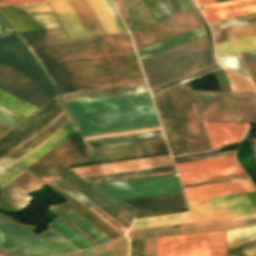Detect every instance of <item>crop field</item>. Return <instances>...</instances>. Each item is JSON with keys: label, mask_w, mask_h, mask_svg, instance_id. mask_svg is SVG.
Returning <instances> with one entry per match:
<instances>
[{"label": "crop field", "mask_w": 256, "mask_h": 256, "mask_svg": "<svg viewBox=\"0 0 256 256\" xmlns=\"http://www.w3.org/2000/svg\"><path fill=\"white\" fill-rule=\"evenodd\" d=\"M29 48L59 93L145 81L128 33Z\"/></svg>", "instance_id": "crop-field-1"}, {"label": "crop field", "mask_w": 256, "mask_h": 256, "mask_svg": "<svg viewBox=\"0 0 256 256\" xmlns=\"http://www.w3.org/2000/svg\"><path fill=\"white\" fill-rule=\"evenodd\" d=\"M66 106L83 137L160 126L148 92Z\"/></svg>", "instance_id": "crop-field-2"}, {"label": "crop field", "mask_w": 256, "mask_h": 256, "mask_svg": "<svg viewBox=\"0 0 256 256\" xmlns=\"http://www.w3.org/2000/svg\"><path fill=\"white\" fill-rule=\"evenodd\" d=\"M0 88L37 107L56 95L12 32L0 37Z\"/></svg>", "instance_id": "crop-field-3"}, {"label": "crop field", "mask_w": 256, "mask_h": 256, "mask_svg": "<svg viewBox=\"0 0 256 256\" xmlns=\"http://www.w3.org/2000/svg\"><path fill=\"white\" fill-rule=\"evenodd\" d=\"M140 62L150 89L216 64L206 36Z\"/></svg>", "instance_id": "crop-field-4"}, {"label": "crop field", "mask_w": 256, "mask_h": 256, "mask_svg": "<svg viewBox=\"0 0 256 256\" xmlns=\"http://www.w3.org/2000/svg\"><path fill=\"white\" fill-rule=\"evenodd\" d=\"M191 212L138 218L130 230L256 212V191L187 201Z\"/></svg>", "instance_id": "crop-field-5"}, {"label": "crop field", "mask_w": 256, "mask_h": 256, "mask_svg": "<svg viewBox=\"0 0 256 256\" xmlns=\"http://www.w3.org/2000/svg\"><path fill=\"white\" fill-rule=\"evenodd\" d=\"M203 122L250 123L256 118V95L192 91Z\"/></svg>", "instance_id": "crop-field-6"}, {"label": "crop field", "mask_w": 256, "mask_h": 256, "mask_svg": "<svg viewBox=\"0 0 256 256\" xmlns=\"http://www.w3.org/2000/svg\"><path fill=\"white\" fill-rule=\"evenodd\" d=\"M31 230L0 219V246L29 256H57L78 250L50 228L38 235Z\"/></svg>", "instance_id": "crop-field-7"}, {"label": "crop field", "mask_w": 256, "mask_h": 256, "mask_svg": "<svg viewBox=\"0 0 256 256\" xmlns=\"http://www.w3.org/2000/svg\"><path fill=\"white\" fill-rule=\"evenodd\" d=\"M87 153L76 131L26 170L47 184Z\"/></svg>", "instance_id": "crop-field-8"}, {"label": "crop field", "mask_w": 256, "mask_h": 256, "mask_svg": "<svg viewBox=\"0 0 256 256\" xmlns=\"http://www.w3.org/2000/svg\"><path fill=\"white\" fill-rule=\"evenodd\" d=\"M93 186L112 201L182 191L176 174Z\"/></svg>", "instance_id": "crop-field-9"}, {"label": "crop field", "mask_w": 256, "mask_h": 256, "mask_svg": "<svg viewBox=\"0 0 256 256\" xmlns=\"http://www.w3.org/2000/svg\"><path fill=\"white\" fill-rule=\"evenodd\" d=\"M199 17L192 9L169 19L131 33L136 49L146 47L169 37L201 26Z\"/></svg>", "instance_id": "crop-field-10"}, {"label": "crop field", "mask_w": 256, "mask_h": 256, "mask_svg": "<svg viewBox=\"0 0 256 256\" xmlns=\"http://www.w3.org/2000/svg\"><path fill=\"white\" fill-rule=\"evenodd\" d=\"M170 91L191 152L210 151L187 83Z\"/></svg>", "instance_id": "crop-field-11"}, {"label": "crop field", "mask_w": 256, "mask_h": 256, "mask_svg": "<svg viewBox=\"0 0 256 256\" xmlns=\"http://www.w3.org/2000/svg\"><path fill=\"white\" fill-rule=\"evenodd\" d=\"M0 10L17 32L59 27L46 1L0 7Z\"/></svg>", "instance_id": "crop-field-12"}, {"label": "crop field", "mask_w": 256, "mask_h": 256, "mask_svg": "<svg viewBox=\"0 0 256 256\" xmlns=\"http://www.w3.org/2000/svg\"><path fill=\"white\" fill-rule=\"evenodd\" d=\"M63 109L55 97L2 136L0 138V157Z\"/></svg>", "instance_id": "crop-field-13"}, {"label": "crop field", "mask_w": 256, "mask_h": 256, "mask_svg": "<svg viewBox=\"0 0 256 256\" xmlns=\"http://www.w3.org/2000/svg\"><path fill=\"white\" fill-rule=\"evenodd\" d=\"M75 131L76 130L70 120L5 170H3L0 173V187L5 185Z\"/></svg>", "instance_id": "crop-field-14"}, {"label": "crop field", "mask_w": 256, "mask_h": 256, "mask_svg": "<svg viewBox=\"0 0 256 256\" xmlns=\"http://www.w3.org/2000/svg\"><path fill=\"white\" fill-rule=\"evenodd\" d=\"M157 256H209V232L157 238Z\"/></svg>", "instance_id": "crop-field-15"}, {"label": "crop field", "mask_w": 256, "mask_h": 256, "mask_svg": "<svg viewBox=\"0 0 256 256\" xmlns=\"http://www.w3.org/2000/svg\"><path fill=\"white\" fill-rule=\"evenodd\" d=\"M115 203L133 216L188 209L182 192Z\"/></svg>", "instance_id": "crop-field-16"}, {"label": "crop field", "mask_w": 256, "mask_h": 256, "mask_svg": "<svg viewBox=\"0 0 256 256\" xmlns=\"http://www.w3.org/2000/svg\"><path fill=\"white\" fill-rule=\"evenodd\" d=\"M175 165L181 180L242 172L234 156Z\"/></svg>", "instance_id": "crop-field-17"}, {"label": "crop field", "mask_w": 256, "mask_h": 256, "mask_svg": "<svg viewBox=\"0 0 256 256\" xmlns=\"http://www.w3.org/2000/svg\"><path fill=\"white\" fill-rule=\"evenodd\" d=\"M69 119L65 110L61 111L39 129H37L34 133L12 148L9 152L3 155L0 158V171L66 123Z\"/></svg>", "instance_id": "crop-field-18"}, {"label": "crop field", "mask_w": 256, "mask_h": 256, "mask_svg": "<svg viewBox=\"0 0 256 256\" xmlns=\"http://www.w3.org/2000/svg\"><path fill=\"white\" fill-rule=\"evenodd\" d=\"M173 164L169 155L71 169L81 177Z\"/></svg>", "instance_id": "crop-field-19"}, {"label": "crop field", "mask_w": 256, "mask_h": 256, "mask_svg": "<svg viewBox=\"0 0 256 256\" xmlns=\"http://www.w3.org/2000/svg\"><path fill=\"white\" fill-rule=\"evenodd\" d=\"M91 154L76 165L131 158L153 154L145 142L91 150ZM75 165V166H76Z\"/></svg>", "instance_id": "crop-field-20"}, {"label": "crop field", "mask_w": 256, "mask_h": 256, "mask_svg": "<svg viewBox=\"0 0 256 256\" xmlns=\"http://www.w3.org/2000/svg\"><path fill=\"white\" fill-rule=\"evenodd\" d=\"M145 82L60 94L64 103L145 92Z\"/></svg>", "instance_id": "crop-field-21"}, {"label": "crop field", "mask_w": 256, "mask_h": 256, "mask_svg": "<svg viewBox=\"0 0 256 256\" xmlns=\"http://www.w3.org/2000/svg\"><path fill=\"white\" fill-rule=\"evenodd\" d=\"M201 12L207 22L256 13V0H235L204 6Z\"/></svg>", "instance_id": "crop-field-22"}, {"label": "crop field", "mask_w": 256, "mask_h": 256, "mask_svg": "<svg viewBox=\"0 0 256 256\" xmlns=\"http://www.w3.org/2000/svg\"><path fill=\"white\" fill-rule=\"evenodd\" d=\"M183 190H184L186 199L190 200V199H197V198H204V197H211V196H218V195L254 191L256 190V188L254 187V185L250 180H246V181L223 183V184H216V185H209V186L186 188Z\"/></svg>", "instance_id": "crop-field-23"}, {"label": "crop field", "mask_w": 256, "mask_h": 256, "mask_svg": "<svg viewBox=\"0 0 256 256\" xmlns=\"http://www.w3.org/2000/svg\"><path fill=\"white\" fill-rule=\"evenodd\" d=\"M69 39L88 37L68 0H48Z\"/></svg>", "instance_id": "crop-field-24"}, {"label": "crop field", "mask_w": 256, "mask_h": 256, "mask_svg": "<svg viewBox=\"0 0 256 256\" xmlns=\"http://www.w3.org/2000/svg\"><path fill=\"white\" fill-rule=\"evenodd\" d=\"M211 148L240 140L248 124L203 123Z\"/></svg>", "instance_id": "crop-field-25"}, {"label": "crop field", "mask_w": 256, "mask_h": 256, "mask_svg": "<svg viewBox=\"0 0 256 256\" xmlns=\"http://www.w3.org/2000/svg\"><path fill=\"white\" fill-rule=\"evenodd\" d=\"M161 138H164L162 131L158 130V131L123 135V136L88 140V141H86V143H87L89 149H93V148L107 147V146H113V145L161 139Z\"/></svg>", "instance_id": "crop-field-26"}, {"label": "crop field", "mask_w": 256, "mask_h": 256, "mask_svg": "<svg viewBox=\"0 0 256 256\" xmlns=\"http://www.w3.org/2000/svg\"><path fill=\"white\" fill-rule=\"evenodd\" d=\"M205 35L203 26L193 29L191 31L185 32L183 34L177 35L170 39L164 40L162 42L156 43L154 45L148 46L146 48L138 50L139 59H143L159 53L161 51L167 50L179 44L185 43L197 37Z\"/></svg>", "instance_id": "crop-field-27"}, {"label": "crop field", "mask_w": 256, "mask_h": 256, "mask_svg": "<svg viewBox=\"0 0 256 256\" xmlns=\"http://www.w3.org/2000/svg\"><path fill=\"white\" fill-rule=\"evenodd\" d=\"M254 223H256V218L224 222V223L209 224V225H202V226H195V227H188V228L166 230V231H159V232H152V233L130 235V236H128V238L141 237V236L151 237V236L192 233V232L216 230V229H223V228H231V227L249 225V224H254Z\"/></svg>", "instance_id": "crop-field-28"}, {"label": "crop field", "mask_w": 256, "mask_h": 256, "mask_svg": "<svg viewBox=\"0 0 256 256\" xmlns=\"http://www.w3.org/2000/svg\"><path fill=\"white\" fill-rule=\"evenodd\" d=\"M62 175H64L66 178H68L70 181H72L74 184H76L78 187H80L82 190H84L86 193H88L90 196H92L94 199H96L98 202H100L102 205H104L126 223H128L129 225L131 224L133 220L131 216H129L127 213H125L123 210L113 204L110 200H108L106 197H104L102 194L92 188L89 184H87L73 172L67 170Z\"/></svg>", "instance_id": "crop-field-29"}, {"label": "crop field", "mask_w": 256, "mask_h": 256, "mask_svg": "<svg viewBox=\"0 0 256 256\" xmlns=\"http://www.w3.org/2000/svg\"><path fill=\"white\" fill-rule=\"evenodd\" d=\"M128 30L146 25L144 18L133 0H113Z\"/></svg>", "instance_id": "crop-field-30"}, {"label": "crop field", "mask_w": 256, "mask_h": 256, "mask_svg": "<svg viewBox=\"0 0 256 256\" xmlns=\"http://www.w3.org/2000/svg\"><path fill=\"white\" fill-rule=\"evenodd\" d=\"M153 22L181 12L176 0H141Z\"/></svg>", "instance_id": "crop-field-31"}, {"label": "crop field", "mask_w": 256, "mask_h": 256, "mask_svg": "<svg viewBox=\"0 0 256 256\" xmlns=\"http://www.w3.org/2000/svg\"><path fill=\"white\" fill-rule=\"evenodd\" d=\"M217 57L256 50V36L214 44Z\"/></svg>", "instance_id": "crop-field-32"}, {"label": "crop field", "mask_w": 256, "mask_h": 256, "mask_svg": "<svg viewBox=\"0 0 256 256\" xmlns=\"http://www.w3.org/2000/svg\"><path fill=\"white\" fill-rule=\"evenodd\" d=\"M26 45L67 40L61 28L19 33Z\"/></svg>", "instance_id": "crop-field-33"}, {"label": "crop field", "mask_w": 256, "mask_h": 256, "mask_svg": "<svg viewBox=\"0 0 256 256\" xmlns=\"http://www.w3.org/2000/svg\"><path fill=\"white\" fill-rule=\"evenodd\" d=\"M214 43L256 35V23L214 30Z\"/></svg>", "instance_id": "crop-field-34"}, {"label": "crop field", "mask_w": 256, "mask_h": 256, "mask_svg": "<svg viewBox=\"0 0 256 256\" xmlns=\"http://www.w3.org/2000/svg\"><path fill=\"white\" fill-rule=\"evenodd\" d=\"M92 256H128V239L123 236L92 249Z\"/></svg>", "instance_id": "crop-field-35"}, {"label": "crop field", "mask_w": 256, "mask_h": 256, "mask_svg": "<svg viewBox=\"0 0 256 256\" xmlns=\"http://www.w3.org/2000/svg\"><path fill=\"white\" fill-rule=\"evenodd\" d=\"M0 105L27 117L37 108L0 90Z\"/></svg>", "instance_id": "crop-field-36"}, {"label": "crop field", "mask_w": 256, "mask_h": 256, "mask_svg": "<svg viewBox=\"0 0 256 256\" xmlns=\"http://www.w3.org/2000/svg\"><path fill=\"white\" fill-rule=\"evenodd\" d=\"M252 217H256V213L255 214H248V215H241V216H234V217H226V218L205 220V221H197V222L176 224V225H168V226L147 228V229L132 230V231H129L127 235L137 234V233H144V232L159 231V230H166V229H173V228H180V227L202 225V224H209V223H216V222L238 220V219H245V218H252Z\"/></svg>", "instance_id": "crop-field-37"}, {"label": "crop field", "mask_w": 256, "mask_h": 256, "mask_svg": "<svg viewBox=\"0 0 256 256\" xmlns=\"http://www.w3.org/2000/svg\"><path fill=\"white\" fill-rule=\"evenodd\" d=\"M171 170H175L173 165L149 168V169H142V170H135V171H128V172L106 174V175H99V176H92V177H85L83 179H85L87 182H91V181H98V180H105V179H112V178H119V177H127V176H134V175H141V174H148V173H155V172L171 171Z\"/></svg>", "instance_id": "crop-field-38"}, {"label": "crop field", "mask_w": 256, "mask_h": 256, "mask_svg": "<svg viewBox=\"0 0 256 256\" xmlns=\"http://www.w3.org/2000/svg\"><path fill=\"white\" fill-rule=\"evenodd\" d=\"M0 193L21 210L28 204L30 200L33 199L11 182L2 188Z\"/></svg>", "instance_id": "crop-field-39"}, {"label": "crop field", "mask_w": 256, "mask_h": 256, "mask_svg": "<svg viewBox=\"0 0 256 256\" xmlns=\"http://www.w3.org/2000/svg\"><path fill=\"white\" fill-rule=\"evenodd\" d=\"M91 4L93 10L98 16L100 22L105 28L107 34L118 33L116 27L114 26L112 20L110 19L108 13L106 12L104 6L102 5L100 0H88Z\"/></svg>", "instance_id": "crop-field-40"}, {"label": "crop field", "mask_w": 256, "mask_h": 256, "mask_svg": "<svg viewBox=\"0 0 256 256\" xmlns=\"http://www.w3.org/2000/svg\"><path fill=\"white\" fill-rule=\"evenodd\" d=\"M11 182H13L15 185H17L26 193L44 186L43 183H41L39 180H37L34 176H32L27 171H24L23 173H21Z\"/></svg>", "instance_id": "crop-field-41"}, {"label": "crop field", "mask_w": 256, "mask_h": 256, "mask_svg": "<svg viewBox=\"0 0 256 256\" xmlns=\"http://www.w3.org/2000/svg\"><path fill=\"white\" fill-rule=\"evenodd\" d=\"M256 239V225L227 230V242Z\"/></svg>", "instance_id": "crop-field-42"}, {"label": "crop field", "mask_w": 256, "mask_h": 256, "mask_svg": "<svg viewBox=\"0 0 256 256\" xmlns=\"http://www.w3.org/2000/svg\"><path fill=\"white\" fill-rule=\"evenodd\" d=\"M210 256H225V230L210 232Z\"/></svg>", "instance_id": "crop-field-43"}, {"label": "crop field", "mask_w": 256, "mask_h": 256, "mask_svg": "<svg viewBox=\"0 0 256 256\" xmlns=\"http://www.w3.org/2000/svg\"><path fill=\"white\" fill-rule=\"evenodd\" d=\"M232 91H254L249 80L222 69Z\"/></svg>", "instance_id": "crop-field-44"}, {"label": "crop field", "mask_w": 256, "mask_h": 256, "mask_svg": "<svg viewBox=\"0 0 256 256\" xmlns=\"http://www.w3.org/2000/svg\"><path fill=\"white\" fill-rule=\"evenodd\" d=\"M218 59L223 66L250 78L239 54Z\"/></svg>", "instance_id": "crop-field-45"}, {"label": "crop field", "mask_w": 256, "mask_h": 256, "mask_svg": "<svg viewBox=\"0 0 256 256\" xmlns=\"http://www.w3.org/2000/svg\"><path fill=\"white\" fill-rule=\"evenodd\" d=\"M218 68H221V67L218 64H216L214 66H211V67H208V68L203 69L201 71H198V72H195L193 74L187 75L185 77H182L180 79L174 80V81L169 82L167 84H164V85H161L159 87L153 88V89L150 90V92H151V94H154L156 92L162 91L164 89H167V88L172 87L174 85L180 84L182 82H185V81L190 80L192 78L198 77L200 75H203V74L208 73L210 71L216 70Z\"/></svg>", "instance_id": "crop-field-46"}, {"label": "crop field", "mask_w": 256, "mask_h": 256, "mask_svg": "<svg viewBox=\"0 0 256 256\" xmlns=\"http://www.w3.org/2000/svg\"><path fill=\"white\" fill-rule=\"evenodd\" d=\"M53 182L56 183L58 186H60L62 189H64L66 192H68L70 195H72L74 198H76L89 209L97 206L89 199H87L85 196H83L81 193H79L77 190H75L73 187H71L69 184H67L65 181H63L61 178L58 177Z\"/></svg>", "instance_id": "crop-field-47"}, {"label": "crop field", "mask_w": 256, "mask_h": 256, "mask_svg": "<svg viewBox=\"0 0 256 256\" xmlns=\"http://www.w3.org/2000/svg\"><path fill=\"white\" fill-rule=\"evenodd\" d=\"M66 214L69 215L71 218H73L75 221H77L79 224H81L83 227H85L88 231H90L92 234H94L96 237H98L103 242L111 240L108 236H106L100 230H98L93 225H91L89 222L84 220L82 217H80L74 211L71 210Z\"/></svg>", "instance_id": "crop-field-48"}, {"label": "crop field", "mask_w": 256, "mask_h": 256, "mask_svg": "<svg viewBox=\"0 0 256 256\" xmlns=\"http://www.w3.org/2000/svg\"><path fill=\"white\" fill-rule=\"evenodd\" d=\"M84 9L86 15L88 16L90 22L92 23L94 29L96 30L98 36L105 35L106 32L102 27L101 23L99 22L97 16L95 15L94 11L92 10L90 4L87 0H78Z\"/></svg>", "instance_id": "crop-field-49"}, {"label": "crop field", "mask_w": 256, "mask_h": 256, "mask_svg": "<svg viewBox=\"0 0 256 256\" xmlns=\"http://www.w3.org/2000/svg\"><path fill=\"white\" fill-rule=\"evenodd\" d=\"M73 9L75 10L77 16L79 17L81 23L83 24L85 30L87 31L89 37L97 36L95 30L93 29L91 23L89 22L87 16L85 15L83 9L81 8L77 0H69Z\"/></svg>", "instance_id": "crop-field-50"}, {"label": "crop field", "mask_w": 256, "mask_h": 256, "mask_svg": "<svg viewBox=\"0 0 256 256\" xmlns=\"http://www.w3.org/2000/svg\"><path fill=\"white\" fill-rule=\"evenodd\" d=\"M227 256H256V245L227 247Z\"/></svg>", "instance_id": "crop-field-51"}, {"label": "crop field", "mask_w": 256, "mask_h": 256, "mask_svg": "<svg viewBox=\"0 0 256 256\" xmlns=\"http://www.w3.org/2000/svg\"><path fill=\"white\" fill-rule=\"evenodd\" d=\"M101 1L104 4L106 10L108 11L115 26L117 27L119 33L127 32L124 25L122 24L120 18L118 17L116 11L114 10L113 6L111 5L110 1L109 0H101Z\"/></svg>", "instance_id": "crop-field-52"}, {"label": "crop field", "mask_w": 256, "mask_h": 256, "mask_svg": "<svg viewBox=\"0 0 256 256\" xmlns=\"http://www.w3.org/2000/svg\"><path fill=\"white\" fill-rule=\"evenodd\" d=\"M130 256H145V239L130 240Z\"/></svg>", "instance_id": "crop-field-53"}, {"label": "crop field", "mask_w": 256, "mask_h": 256, "mask_svg": "<svg viewBox=\"0 0 256 256\" xmlns=\"http://www.w3.org/2000/svg\"><path fill=\"white\" fill-rule=\"evenodd\" d=\"M256 88V66L249 52L240 54Z\"/></svg>", "instance_id": "crop-field-54"}, {"label": "crop field", "mask_w": 256, "mask_h": 256, "mask_svg": "<svg viewBox=\"0 0 256 256\" xmlns=\"http://www.w3.org/2000/svg\"><path fill=\"white\" fill-rule=\"evenodd\" d=\"M244 176H246L244 173H240V174H232V175H224V176H216V177H208V178L184 180V181H181V184H182V185H185V184L200 183V182H207V181H214V180H222V179H229V178H236V177H244Z\"/></svg>", "instance_id": "crop-field-55"}, {"label": "crop field", "mask_w": 256, "mask_h": 256, "mask_svg": "<svg viewBox=\"0 0 256 256\" xmlns=\"http://www.w3.org/2000/svg\"><path fill=\"white\" fill-rule=\"evenodd\" d=\"M21 119L3 111L0 109V123L12 128L15 126Z\"/></svg>", "instance_id": "crop-field-56"}, {"label": "crop field", "mask_w": 256, "mask_h": 256, "mask_svg": "<svg viewBox=\"0 0 256 256\" xmlns=\"http://www.w3.org/2000/svg\"><path fill=\"white\" fill-rule=\"evenodd\" d=\"M234 152L235 151L225 152V153H218V154H211V155H204V156H197V157H190V158H183V159H176V160H173V161H174V163H178V162H186V161H193V160L223 157V156H231V155H234Z\"/></svg>", "instance_id": "crop-field-57"}, {"label": "crop field", "mask_w": 256, "mask_h": 256, "mask_svg": "<svg viewBox=\"0 0 256 256\" xmlns=\"http://www.w3.org/2000/svg\"><path fill=\"white\" fill-rule=\"evenodd\" d=\"M67 221H69L71 224H73L75 227H77L79 230H81L83 233H85L87 236H89L91 239H93L98 244L102 243L98 238H96L94 235H92L90 232H88L86 229H84L81 225H79L77 222H75L73 219H71L66 214L62 216Z\"/></svg>", "instance_id": "crop-field-58"}, {"label": "crop field", "mask_w": 256, "mask_h": 256, "mask_svg": "<svg viewBox=\"0 0 256 256\" xmlns=\"http://www.w3.org/2000/svg\"><path fill=\"white\" fill-rule=\"evenodd\" d=\"M146 256H156V238L146 239Z\"/></svg>", "instance_id": "crop-field-59"}, {"label": "crop field", "mask_w": 256, "mask_h": 256, "mask_svg": "<svg viewBox=\"0 0 256 256\" xmlns=\"http://www.w3.org/2000/svg\"><path fill=\"white\" fill-rule=\"evenodd\" d=\"M255 17H256V14H251V15H246V16H241V17H236V18H230V19L210 22L209 24H210V26H213V25L224 24V23L245 20V19H250V18H255Z\"/></svg>", "instance_id": "crop-field-60"}, {"label": "crop field", "mask_w": 256, "mask_h": 256, "mask_svg": "<svg viewBox=\"0 0 256 256\" xmlns=\"http://www.w3.org/2000/svg\"><path fill=\"white\" fill-rule=\"evenodd\" d=\"M161 129L160 127L157 128H150V129H143V130H136V131H129V132H122V133H114V134H107V135H100V136H93V137H86L84 140L88 139H95V138H102V137H109V136H116V135H123V134H130V133H137V132H144V131H151V130H158Z\"/></svg>", "instance_id": "crop-field-61"}, {"label": "crop field", "mask_w": 256, "mask_h": 256, "mask_svg": "<svg viewBox=\"0 0 256 256\" xmlns=\"http://www.w3.org/2000/svg\"><path fill=\"white\" fill-rule=\"evenodd\" d=\"M35 1H42V0H1L0 1V6H7V5H14V4L28 3V2H35Z\"/></svg>", "instance_id": "crop-field-62"}, {"label": "crop field", "mask_w": 256, "mask_h": 256, "mask_svg": "<svg viewBox=\"0 0 256 256\" xmlns=\"http://www.w3.org/2000/svg\"><path fill=\"white\" fill-rule=\"evenodd\" d=\"M246 179H248V177L237 178V179H229V180H222V181H215V182L200 183V184H193V185H185V186H182V187L186 188V187H194V186L209 185V184L231 182V181H238V180H246Z\"/></svg>", "instance_id": "crop-field-63"}, {"label": "crop field", "mask_w": 256, "mask_h": 256, "mask_svg": "<svg viewBox=\"0 0 256 256\" xmlns=\"http://www.w3.org/2000/svg\"><path fill=\"white\" fill-rule=\"evenodd\" d=\"M251 22H256V18L255 19H250V20H245V21H239V22L224 24V25L213 26V27H211V29L214 30V29L225 28V27H230V26H235V25H240V24H246V23H251Z\"/></svg>", "instance_id": "crop-field-64"}, {"label": "crop field", "mask_w": 256, "mask_h": 256, "mask_svg": "<svg viewBox=\"0 0 256 256\" xmlns=\"http://www.w3.org/2000/svg\"><path fill=\"white\" fill-rule=\"evenodd\" d=\"M134 1L137 4L139 10L141 11L143 17L145 18L147 24L152 23V20H151L150 16L148 15L146 9L144 8L143 4L141 3V1L140 0H134Z\"/></svg>", "instance_id": "crop-field-65"}, {"label": "crop field", "mask_w": 256, "mask_h": 256, "mask_svg": "<svg viewBox=\"0 0 256 256\" xmlns=\"http://www.w3.org/2000/svg\"><path fill=\"white\" fill-rule=\"evenodd\" d=\"M177 2L180 5L182 11L193 7L190 0H177Z\"/></svg>", "instance_id": "crop-field-66"}, {"label": "crop field", "mask_w": 256, "mask_h": 256, "mask_svg": "<svg viewBox=\"0 0 256 256\" xmlns=\"http://www.w3.org/2000/svg\"><path fill=\"white\" fill-rule=\"evenodd\" d=\"M0 255L1 256H24V255H21L6 249H2V248H0Z\"/></svg>", "instance_id": "crop-field-67"}, {"label": "crop field", "mask_w": 256, "mask_h": 256, "mask_svg": "<svg viewBox=\"0 0 256 256\" xmlns=\"http://www.w3.org/2000/svg\"><path fill=\"white\" fill-rule=\"evenodd\" d=\"M244 244H256V241L232 242V243H227V246L244 245Z\"/></svg>", "instance_id": "crop-field-68"}, {"label": "crop field", "mask_w": 256, "mask_h": 256, "mask_svg": "<svg viewBox=\"0 0 256 256\" xmlns=\"http://www.w3.org/2000/svg\"><path fill=\"white\" fill-rule=\"evenodd\" d=\"M8 26L4 23V21L0 18V34L7 32Z\"/></svg>", "instance_id": "crop-field-69"}, {"label": "crop field", "mask_w": 256, "mask_h": 256, "mask_svg": "<svg viewBox=\"0 0 256 256\" xmlns=\"http://www.w3.org/2000/svg\"><path fill=\"white\" fill-rule=\"evenodd\" d=\"M197 5H202V4H208V3H214L215 0H195Z\"/></svg>", "instance_id": "crop-field-70"}, {"label": "crop field", "mask_w": 256, "mask_h": 256, "mask_svg": "<svg viewBox=\"0 0 256 256\" xmlns=\"http://www.w3.org/2000/svg\"><path fill=\"white\" fill-rule=\"evenodd\" d=\"M8 130H9V128H7V127H5V126L0 124V136L2 134H4L5 132H7Z\"/></svg>", "instance_id": "crop-field-71"}, {"label": "crop field", "mask_w": 256, "mask_h": 256, "mask_svg": "<svg viewBox=\"0 0 256 256\" xmlns=\"http://www.w3.org/2000/svg\"><path fill=\"white\" fill-rule=\"evenodd\" d=\"M0 108L3 109V110H5V111H7V112H9V113H11V114H13V115H15V116H17V117H19V118H21V119L24 118V117H22V116H20V115H18V114H16V113H14V112H12V111H10V110L4 108V107H2V106H0Z\"/></svg>", "instance_id": "crop-field-72"}, {"label": "crop field", "mask_w": 256, "mask_h": 256, "mask_svg": "<svg viewBox=\"0 0 256 256\" xmlns=\"http://www.w3.org/2000/svg\"><path fill=\"white\" fill-rule=\"evenodd\" d=\"M82 256H91V249L82 251Z\"/></svg>", "instance_id": "crop-field-73"}, {"label": "crop field", "mask_w": 256, "mask_h": 256, "mask_svg": "<svg viewBox=\"0 0 256 256\" xmlns=\"http://www.w3.org/2000/svg\"><path fill=\"white\" fill-rule=\"evenodd\" d=\"M64 256H81V251L75 252V253L66 254Z\"/></svg>", "instance_id": "crop-field-74"}, {"label": "crop field", "mask_w": 256, "mask_h": 256, "mask_svg": "<svg viewBox=\"0 0 256 256\" xmlns=\"http://www.w3.org/2000/svg\"><path fill=\"white\" fill-rule=\"evenodd\" d=\"M49 208H51V209H53L54 211H56L57 213H59V214H64L63 212H61L59 209H57L55 206H53L52 204H51V206L49 207Z\"/></svg>", "instance_id": "crop-field-75"}, {"label": "crop field", "mask_w": 256, "mask_h": 256, "mask_svg": "<svg viewBox=\"0 0 256 256\" xmlns=\"http://www.w3.org/2000/svg\"><path fill=\"white\" fill-rule=\"evenodd\" d=\"M251 53V55H252V57H253V59H254V62H255V64H256V51H252V52H250Z\"/></svg>", "instance_id": "crop-field-76"}, {"label": "crop field", "mask_w": 256, "mask_h": 256, "mask_svg": "<svg viewBox=\"0 0 256 256\" xmlns=\"http://www.w3.org/2000/svg\"><path fill=\"white\" fill-rule=\"evenodd\" d=\"M221 1H226V0H218V2H221Z\"/></svg>", "instance_id": "crop-field-77"}, {"label": "crop field", "mask_w": 256, "mask_h": 256, "mask_svg": "<svg viewBox=\"0 0 256 256\" xmlns=\"http://www.w3.org/2000/svg\"><path fill=\"white\" fill-rule=\"evenodd\" d=\"M61 256H63V255H61Z\"/></svg>", "instance_id": "crop-field-78"}]
</instances>
